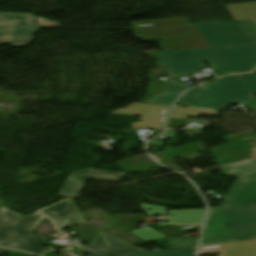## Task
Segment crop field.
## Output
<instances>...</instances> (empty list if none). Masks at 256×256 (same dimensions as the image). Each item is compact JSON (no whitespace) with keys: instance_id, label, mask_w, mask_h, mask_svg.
<instances>
[{"instance_id":"crop-field-11","label":"crop field","mask_w":256,"mask_h":256,"mask_svg":"<svg viewBox=\"0 0 256 256\" xmlns=\"http://www.w3.org/2000/svg\"><path fill=\"white\" fill-rule=\"evenodd\" d=\"M41 213L51 218L59 229L71 227L85 221L72 199L42 210Z\"/></svg>"},{"instance_id":"crop-field-8","label":"crop field","mask_w":256,"mask_h":256,"mask_svg":"<svg viewBox=\"0 0 256 256\" xmlns=\"http://www.w3.org/2000/svg\"><path fill=\"white\" fill-rule=\"evenodd\" d=\"M171 107L134 103L111 114L142 116L141 123H133L132 129H163Z\"/></svg>"},{"instance_id":"crop-field-3","label":"crop field","mask_w":256,"mask_h":256,"mask_svg":"<svg viewBox=\"0 0 256 256\" xmlns=\"http://www.w3.org/2000/svg\"><path fill=\"white\" fill-rule=\"evenodd\" d=\"M208 220L200 245L256 237L254 208H211Z\"/></svg>"},{"instance_id":"crop-field-20","label":"crop field","mask_w":256,"mask_h":256,"mask_svg":"<svg viewBox=\"0 0 256 256\" xmlns=\"http://www.w3.org/2000/svg\"><path fill=\"white\" fill-rule=\"evenodd\" d=\"M9 250L0 249V255L8 252Z\"/></svg>"},{"instance_id":"crop-field-14","label":"crop field","mask_w":256,"mask_h":256,"mask_svg":"<svg viewBox=\"0 0 256 256\" xmlns=\"http://www.w3.org/2000/svg\"><path fill=\"white\" fill-rule=\"evenodd\" d=\"M235 21L253 20L256 24V2L227 6Z\"/></svg>"},{"instance_id":"crop-field-9","label":"crop field","mask_w":256,"mask_h":256,"mask_svg":"<svg viewBox=\"0 0 256 256\" xmlns=\"http://www.w3.org/2000/svg\"><path fill=\"white\" fill-rule=\"evenodd\" d=\"M124 174L125 173L99 171L94 170L93 168L72 172L64 184L60 195L69 197L78 196L81 188L84 186L88 179L121 183Z\"/></svg>"},{"instance_id":"crop-field-18","label":"crop field","mask_w":256,"mask_h":256,"mask_svg":"<svg viewBox=\"0 0 256 256\" xmlns=\"http://www.w3.org/2000/svg\"><path fill=\"white\" fill-rule=\"evenodd\" d=\"M40 26H53V27H60L59 22H53L51 20L38 18Z\"/></svg>"},{"instance_id":"crop-field-12","label":"crop field","mask_w":256,"mask_h":256,"mask_svg":"<svg viewBox=\"0 0 256 256\" xmlns=\"http://www.w3.org/2000/svg\"><path fill=\"white\" fill-rule=\"evenodd\" d=\"M215 252H222L220 256H256V239L200 246L198 254Z\"/></svg>"},{"instance_id":"crop-field-13","label":"crop field","mask_w":256,"mask_h":256,"mask_svg":"<svg viewBox=\"0 0 256 256\" xmlns=\"http://www.w3.org/2000/svg\"><path fill=\"white\" fill-rule=\"evenodd\" d=\"M187 88H189L188 84H178L177 81H167L165 82L164 94L156 95L152 100H148L147 103L172 106L177 96Z\"/></svg>"},{"instance_id":"crop-field-21","label":"crop field","mask_w":256,"mask_h":256,"mask_svg":"<svg viewBox=\"0 0 256 256\" xmlns=\"http://www.w3.org/2000/svg\"><path fill=\"white\" fill-rule=\"evenodd\" d=\"M43 256H55V255H53V254H51V253H46V254H44Z\"/></svg>"},{"instance_id":"crop-field-10","label":"crop field","mask_w":256,"mask_h":256,"mask_svg":"<svg viewBox=\"0 0 256 256\" xmlns=\"http://www.w3.org/2000/svg\"><path fill=\"white\" fill-rule=\"evenodd\" d=\"M137 248L102 232L83 251L91 256H126Z\"/></svg>"},{"instance_id":"crop-field-6","label":"crop field","mask_w":256,"mask_h":256,"mask_svg":"<svg viewBox=\"0 0 256 256\" xmlns=\"http://www.w3.org/2000/svg\"><path fill=\"white\" fill-rule=\"evenodd\" d=\"M36 31L38 28L32 15L0 14V44L11 43L14 47L27 46L33 41L31 35Z\"/></svg>"},{"instance_id":"crop-field-16","label":"crop field","mask_w":256,"mask_h":256,"mask_svg":"<svg viewBox=\"0 0 256 256\" xmlns=\"http://www.w3.org/2000/svg\"><path fill=\"white\" fill-rule=\"evenodd\" d=\"M200 114L220 116L218 112L191 109V108H174L170 119H187L188 117H199Z\"/></svg>"},{"instance_id":"crop-field-4","label":"crop field","mask_w":256,"mask_h":256,"mask_svg":"<svg viewBox=\"0 0 256 256\" xmlns=\"http://www.w3.org/2000/svg\"><path fill=\"white\" fill-rule=\"evenodd\" d=\"M45 219L38 212L25 217L5 208L0 210V246L24 250L36 254L46 252L31 234L37 224Z\"/></svg>"},{"instance_id":"crop-field-15","label":"crop field","mask_w":256,"mask_h":256,"mask_svg":"<svg viewBox=\"0 0 256 256\" xmlns=\"http://www.w3.org/2000/svg\"><path fill=\"white\" fill-rule=\"evenodd\" d=\"M195 250L196 247L170 251H162L157 248L150 253L139 248L128 256H194Z\"/></svg>"},{"instance_id":"crop-field-19","label":"crop field","mask_w":256,"mask_h":256,"mask_svg":"<svg viewBox=\"0 0 256 256\" xmlns=\"http://www.w3.org/2000/svg\"><path fill=\"white\" fill-rule=\"evenodd\" d=\"M10 256H31V255H27V254L20 253V252H14V253L10 254Z\"/></svg>"},{"instance_id":"crop-field-2","label":"crop field","mask_w":256,"mask_h":256,"mask_svg":"<svg viewBox=\"0 0 256 256\" xmlns=\"http://www.w3.org/2000/svg\"><path fill=\"white\" fill-rule=\"evenodd\" d=\"M256 70L250 74L230 75L214 84L200 85L182 95L179 104L208 109L256 100Z\"/></svg>"},{"instance_id":"crop-field-7","label":"crop field","mask_w":256,"mask_h":256,"mask_svg":"<svg viewBox=\"0 0 256 256\" xmlns=\"http://www.w3.org/2000/svg\"><path fill=\"white\" fill-rule=\"evenodd\" d=\"M211 47L255 45L235 26L234 22L194 24Z\"/></svg>"},{"instance_id":"crop-field-17","label":"crop field","mask_w":256,"mask_h":256,"mask_svg":"<svg viewBox=\"0 0 256 256\" xmlns=\"http://www.w3.org/2000/svg\"><path fill=\"white\" fill-rule=\"evenodd\" d=\"M241 30L246 36H248L253 42L256 43V26L253 21L237 22Z\"/></svg>"},{"instance_id":"crop-field-5","label":"crop field","mask_w":256,"mask_h":256,"mask_svg":"<svg viewBox=\"0 0 256 256\" xmlns=\"http://www.w3.org/2000/svg\"><path fill=\"white\" fill-rule=\"evenodd\" d=\"M219 175L238 177L219 207L256 208V159L224 167Z\"/></svg>"},{"instance_id":"crop-field-1","label":"crop field","mask_w":256,"mask_h":256,"mask_svg":"<svg viewBox=\"0 0 256 256\" xmlns=\"http://www.w3.org/2000/svg\"><path fill=\"white\" fill-rule=\"evenodd\" d=\"M159 55L170 76L199 72L201 60H208L218 74L250 72L256 66V46L161 51Z\"/></svg>"}]
</instances>
